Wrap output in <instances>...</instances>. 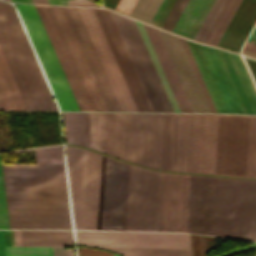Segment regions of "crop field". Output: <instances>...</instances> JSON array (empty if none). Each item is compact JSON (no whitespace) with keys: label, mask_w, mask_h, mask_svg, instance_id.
I'll use <instances>...</instances> for the list:
<instances>
[{"label":"crop field","mask_w":256,"mask_h":256,"mask_svg":"<svg viewBox=\"0 0 256 256\" xmlns=\"http://www.w3.org/2000/svg\"><path fill=\"white\" fill-rule=\"evenodd\" d=\"M36 163H64L62 146L34 149Z\"/></svg>","instance_id":"crop-field-30"},{"label":"crop field","mask_w":256,"mask_h":256,"mask_svg":"<svg viewBox=\"0 0 256 256\" xmlns=\"http://www.w3.org/2000/svg\"><path fill=\"white\" fill-rule=\"evenodd\" d=\"M217 177L190 175L186 232L214 235Z\"/></svg>","instance_id":"crop-field-12"},{"label":"crop field","mask_w":256,"mask_h":256,"mask_svg":"<svg viewBox=\"0 0 256 256\" xmlns=\"http://www.w3.org/2000/svg\"><path fill=\"white\" fill-rule=\"evenodd\" d=\"M7 1H10V0H7ZM11 2V1H10Z\"/></svg>","instance_id":"crop-field-54"},{"label":"crop field","mask_w":256,"mask_h":256,"mask_svg":"<svg viewBox=\"0 0 256 256\" xmlns=\"http://www.w3.org/2000/svg\"><path fill=\"white\" fill-rule=\"evenodd\" d=\"M245 58V57H244ZM249 68H250V71L256 81V60H253V59H249V58H245Z\"/></svg>","instance_id":"crop-field-43"},{"label":"crop field","mask_w":256,"mask_h":256,"mask_svg":"<svg viewBox=\"0 0 256 256\" xmlns=\"http://www.w3.org/2000/svg\"><path fill=\"white\" fill-rule=\"evenodd\" d=\"M215 235L256 241V180L218 177Z\"/></svg>","instance_id":"crop-field-7"},{"label":"crop field","mask_w":256,"mask_h":256,"mask_svg":"<svg viewBox=\"0 0 256 256\" xmlns=\"http://www.w3.org/2000/svg\"><path fill=\"white\" fill-rule=\"evenodd\" d=\"M136 1L137 0H119L115 7V10L129 15Z\"/></svg>","instance_id":"crop-field-41"},{"label":"crop field","mask_w":256,"mask_h":256,"mask_svg":"<svg viewBox=\"0 0 256 256\" xmlns=\"http://www.w3.org/2000/svg\"><path fill=\"white\" fill-rule=\"evenodd\" d=\"M80 109H94L50 7L35 6Z\"/></svg>","instance_id":"crop-field-16"},{"label":"crop field","mask_w":256,"mask_h":256,"mask_svg":"<svg viewBox=\"0 0 256 256\" xmlns=\"http://www.w3.org/2000/svg\"><path fill=\"white\" fill-rule=\"evenodd\" d=\"M138 111H153L108 10L93 8Z\"/></svg>","instance_id":"crop-field-15"},{"label":"crop field","mask_w":256,"mask_h":256,"mask_svg":"<svg viewBox=\"0 0 256 256\" xmlns=\"http://www.w3.org/2000/svg\"><path fill=\"white\" fill-rule=\"evenodd\" d=\"M233 0H226L220 9L218 15L216 16L214 22L212 23L210 29L208 30L206 36L203 39V42L209 43L211 37L213 36L214 32L216 31L218 25L220 24L222 18L224 17L225 13L227 12L229 6L231 5Z\"/></svg>","instance_id":"crop-field-38"},{"label":"crop field","mask_w":256,"mask_h":256,"mask_svg":"<svg viewBox=\"0 0 256 256\" xmlns=\"http://www.w3.org/2000/svg\"><path fill=\"white\" fill-rule=\"evenodd\" d=\"M22 246H74L71 231H21Z\"/></svg>","instance_id":"crop-field-23"},{"label":"crop field","mask_w":256,"mask_h":256,"mask_svg":"<svg viewBox=\"0 0 256 256\" xmlns=\"http://www.w3.org/2000/svg\"><path fill=\"white\" fill-rule=\"evenodd\" d=\"M0 229H9L1 162H0Z\"/></svg>","instance_id":"crop-field-36"},{"label":"crop field","mask_w":256,"mask_h":256,"mask_svg":"<svg viewBox=\"0 0 256 256\" xmlns=\"http://www.w3.org/2000/svg\"><path fill=\"white\" fill-rule=\"evenodd\" d=\"M161 1L162 0H138L130 16L149 23Z\"/></svg>","instance_id":"crop-field-29"},{"label":"crop field","mask_w":256,"mask_h":256,"mask_svg":"<svg viewBox=\"0 0 256 256\" xmlns=\"http://www.w3.org/2000/svg\"><path fill=\"white\" fill-rule=\"evenodd\" d=\"M256 21V0H243L218 46L239 51Z\"/></svg>","instance_id":"crop-field-19"},{"label":"crop field","mask_w":256,"mask_h":256,"mask_svg":"<svg viewBox=\"0 0 256 256\" xmlns=\"http://www.w3.org/2000/svg\"><path fill=\"white\" fill-rule=\"evenodd\" d=\"M54 256H65L64 247H53Z\"/></svg>","instance_id":"crop-field-44"},{"label":"crop field","mask_w":256,"mask_h":256,"mask_svg":"<svg viewBox=\"0 0 256 256\" xmlns=\"http://www.w3.org/2000/svg\"><path fill=\"white\" fill-rule=\"evenodd\" d=\"M7 202H68L64 164H3ZM10 229H71L68 203H7Z\"/></svg>","instance_id":"crop-field-3"},{"label":"crop field","mask_w":256,"mask_h":256,"mask_svg":"<svg viewBox=\"0 0 256 256\" xmlns=\"http://www.w3.org/2000/svg\"><path fill=\"white\" fill-rule=\"evenodd\" d=\"M66 256H74V248H65Z\"/></svg>","instance_id":"crop-field-50"},{"label":"crop field","mask_w":256,"mask_h":256,"mask_svg":"<svg viewBox=\"0 0 256 256\" xmlns=\"http://www.w3.org/2000/svg\"><path fill=\"white\" fill-rule=\"evenodd\" d=\"M223 2L224 0H215L207 16L205 17L203 23L201 24L198 32L196 33L194 39L202 41L204 35L206 34L208 28L210 27Z\"/></svg>","instance_id":"crop-field-33"},{"label":"crop field","mask_w":256,"mask_h":256,"mask_svg":"<svg viewBox=\"0 0 256 256\" xmlns=\"http://www.w3.org/2000/svg\"><path fill=\"white\" fill-rule=\"evenodd\" d=\"M0 256H5L3 231H0Z\"/></svg>","instance_id":"crop-field-45"},{"label":"crop field","mask_w":256,"mask_h":256,"mask_svg":"<svg viewBox=\"0 0 256 256\" xmlns=\"http://www.w3.org/2000/svg\"><path fill=\"white\" fill-rule=\"evenodd\" d=\"M68 5L101 7L89 0H66Z\"/></svg>","instance_id":"crop-field-42"},{"label":"crop field","mask_w":256,"mask_h":256,"mask_svg":"<svg viewBox=\"0 0 256 256\" xmlns=\"http://www.w3.org/2000/svg\"><path fill=\"white\" fill-rule=\"evenodd\" d=\"M144 24V23H143ZM146 31L148 33V36L151 40V43L154 47V50L157 54V57L159 59V62L162 66V69L165 73V76L167 78V81L170 85V88L173 92V95L176 99V102L178 104V107L181 112H192L189 104L186 100V97L184 95V92L181 88V85L178 81V78L175 74V71L173 69V66L170 62V59L167 55V52L164 48V45L162 43V40L159 36V33L155 27L149 26L147 24H144Z\"/></svg>","instance_id":"crop-field-20"},{"label":"crop field","mask_w":256,"mask_h":256,"mask_svg":"<svg viewBox=\"0 0 256 256\" xmlns=\"http://www.w3.org/2000/svg\"><path fill=\"white\" fill-rule=\"evenodd\" d=\"M214 248L213 237L191 234L192 256H206V252Z\"/></svg>","instance_id":"crop-field-32"},{"label":"crop field","mask_w":256,"mask_h":256,"mask_svg":"<svg viewBox=\"0 0 256 256\" xmlns=\"http://www.w3.org/2000/svg\"><path fill=\"white\" fill-rule=\"evenodd\" d=\"M77 245L115 251L124 256H190L189 234L75 231Z\"/></svg>","instance_id":"crop-field-8"},{"label":"crop field","mask_w":256,"mask_h":256,"mask_svg":"<svg viewBox=\"0 0 256 256\" xmlns=\"http://www.w3.org/2000/svg\"><path fill=\"white\" fill-rule=\"evenodd\" d=\"M228 53V52H227ZM231 62L235 68V71L239 77V80L243 86V89L247 95V98L251 104V107L254 111V113L256 114V94L252 85V82L239 58L238 55L236 54H232V53H228Z\"/></svg>","instance_id":"crop-field-27"},{"label":"crop field","mask_w":256,"mask_h":256,"mask_svg":"<svg viewBox=\"0 0 256 256\" xmlns=\"http://www.w3.org/2000/svg\"><path fill=\"white\" fill-rule=\"evenodd\" d=\"M0 45L29 110H58L12 5L0 1Z\"/></svg>","instance_id":"crop-field-5"},{"label":"crop field","mask_w":256,"mask_h":256,"mask_svg":"<svg viewBox=\"0 0 256 256\" xmlns=\"http://www.w3.org/2000/svg\"><path fill=\"white\" fill-rule=\"evenodd\" d=\"M170 114H164L161 170H167Z\"/></svg>","instance_id":"crop-field-34"},{"label":"crop field","mask_w":256,"mask_h":256,"mask_svg":"<svg viewBox=\"0 0 256 256\" xmlns=\"http://www.w3.org/2000/svg\"><path fill=\"white\" fill-rule=\"evenodd\" d=\"M189 175L162 172L158 231L185 232Z\"/></svg>","instance_id":"crop-field-13"},{"label":"crop field","mask_w":256,"mask_h":256,"mask_svg":"<svg viewBox=\"0 0 256 256\" xmlns=\"http://www.w3.org/2000/svg\"><path fill=\"white\" fill-rule=\"evenodd\" d=\"M118 2V0H103L104 5L114 9L116 3Z\"/></svg>","instance_id":"crop-field-46"},{"label":"crop field","mask_w":256,"mask_h":256,"mask_svg":"<svg viewBox=\"0 0 256 256\" xmlns=\"http://www.w3.org/2000/svg\"><path fill=\"white\" fill-rule=\"evenodd\" d=\"M214 0H189L173 32L193 39Z\"/></svg>","instance_id":"crop-field-22"},{"label":"crop field","mask_w":256,"mask_h":256,"mask_svg":"<svg viewBox=\"0 0 256 256\" xmlns=\"http://www.w3.org/2000/svg\"><path fill=\"white\" fill-rule=\"evenodd\" d=\"M111 14L153 110L173 112L135 21L114 12Z\"/></svg>","instance_id":"crop-field-10"},{"label":"crop field","mask_w":256,"mask_h":256,"mask_svg":"<svg viewBox=\"0 0 256 256\" xmlns=\"http://www.w3.org/2000/svg\"><path fill=\"white\" fill-rule=\"evenodd\" d=\"M158 31L192 111L211 112L179 38L163 30Z\"/></svg>","instance_id":"crop-field-17"},{"label":"crop field","mask_w":256,"mask_h":256,"mask_svg":"<svg viewBox=\"0 0 256 256\" xmlns=\"http://www.w3.org/2000/svg\"><path fill=\"white\" fill-rule=\"evenodd\" d=\"M244 49L256 52V44L247 42V44L244 46Z\"/></svg>","instance_id":"crop-field-48"},{"label":"crop field","mask_w":256,"mask_h":256,"mask_svg":"<svg viewBox=\"0 0 256 256\" xmlns=\"http://www.w3.org/2000/svg\"><path fill=\"white\" fill-rule=\"evenodd\" d=\"M251 38H255V39H256V27H255V29H254L252 35H251Z\"/></svg>","instance_id":"crop-field-52"},{"label":"crop field","mask_w":256,"mask_h":256,"mask_svg":"<svg viewBox=\"0 0 256 256\" xmlns=\"http://www.w3.org/2000/svg\"><path fill=\"white\" fill-rule=\"evenodd\" d=\"M96 110L107 111L61 6H51Z\"/></svg>","instance_id":"crop-field-18"},{"label":"crop field","mask_w":256,"mask_h":256,"mask_svg":"<svg viewBox=\"0 0 256 256\" xmlns=\"http://www.w3.org/2000/svg\"><path fill=\"white\" fill-rule=\"evenodd\" d=\"M108 111H114L68 7L62 6Z\"/></svg>","instance_id":"crop-field-25"},{"label":"crop field","mask_w":256,"mask_h":256,"mask_svg":"<svg viewBox=\"0 0 256 256\" xmlns=\"http://www.w3.org/2000/svg\"><path fill=\"white\" fill-rule=\"evenodd\" d=\"M69 8H70V10H71V12L73 14V17H74V19L76 21V24H77V26H78V28L80 30V33H81V35L83 37V40H84V42H85V44L87 46V49H88V51L90 53V56H91V58H92V60L94 62V65H95V67L97 69V72H98V74H99V76L101 78V81H102V83L104 85V88H105V90H106V92L108 94V97H109V99L111 101V104H112L114 110L115 111H121L119 106H118V103H117V101L115 99V96H114V94L112 92V89H111V87L109 85V82H108V80L106 78V75H105V73L103 71V68H102V66L100 64V61H99V59L97 57V54H96V52L94 50V47H93V45L91 43V40H90V38L88 36V33H87L86 29H85V26H84V24L82 22V19H81L80 15H79V12H78L77 8L76 7H69Z\"/></svg>","instance_id":"crop-field-24"},{"label":"crop field","mask_w":256,"mask_h":256,"mask_svg":"<svg viewBox=\"0 0 256 256\" xmlns=\"http://www.w3.org/2000/svg\"><path fill=\"white\" fill-rule=\"evenodd\" d=\"M16 246H21L20 231H14Z\"/></svg>","instance_id":"crop-field-47"},{"label":"crop field","mask_w":256,"mask_h":256,"mask_svg":"<svg viewBox=\"0 0 256 256\" xmlns=\"http://www.w3.org/2000/svg\"><path fill=\"white\" fill-rule=\"evenodd\" d=\"M61 110H79L33 5L15 4Z\"/></svg>","instance_id":"crop-field-9"},{"label":"crop field","mask_w":256,"mask_h":256,"mask_svg":"<svg viewBox=\"0 0 256 256\" xmlns=\"http://www.w3.org/2000/svg\"><path fill=\"white\" fill-rule=\"evenodd\" d=\"M129 165L106 156L101 229L125 230ZM161 172L130 165L126 230L157 231Z\"/></svg>","instance_id":"crop-field-4"},{"label":"crop field","mask_w":256,"mask_h":256,"mask_svg":"<svg viewBox=\"0 0 256 256\" xmlns=\"http://www.w3.org/2000/svg\"><path fill=\"white\" fill-rule=\"evenodd\" d=\"M135 21H136V20H135ZM136 23H137L138 28H139V30H140V33H141V35H142V37H143V40H144V42H145V45H146V47H147V49H148V52H149V54H150V56H151V59H152L153 64H154V66H155V68H156V71H157L158 76H159V78H160V80H161V83H162V85H163V87H164V90H165V92H166V95H167V97H168V99H169V102H170V104H171V107H172V109H173L174 112H180L179 109H178V107H177V104H176V102H175V99H174V97H173V95H172V92H171V90H170V88H169V85H168V83H167V81H166V78H165V76H164V73H163V71H162V69H161V66H160V64H159V62H158V59H157V57H156V54H155V52H154V50H153V47H152V45H151V43H150V40H149V38H148V36H147V33H146V31H145V28H144V26H143V24H142L141 22L136 21Z\"/></svg>","instance_id":"crop-field-26"},{"label":"crop field","mask_w":256,"mask_h":256,"mask_svg":"<svg viewBox=\"0 0 256 256\" xmlns=\"http://www.w3.org/2000/svg\"><path fill=\"white\" fill-rule=\"evenodd\" d=\"M0 110H28L0 47Z\"/></svg>","instance_id":"crop-field-21"},{"label":"crop field","mask_w":256,"mask_h":256,"mask_svg":"<svg viewBox=\"0 0 256 256\" xmlns=\"http://www.w3.org/2000/svg\"><path fill=\"white\" fill-rule=\"evenodd\" d=\"M114 256H118V255H115V254H114Z\"/></svg>","instance_id":"crop-field-53"},{"label":"crop field","mask_w":256,"mask_h":256,"mask_svg":"<svg viewBox=\"0 0 256 256\" xmlns=\"http://www.w3.org/2000/svg\"><path fill=\"white\" fill-rule=\"evenodd\" d=\"M65 149L75 229H100L105 156Z\"/></svg>","instance_id":"crop-field-6"},{"label":"crop field","mask_w":256,"mask_h":256,"mask_svg":"<svg viewBox=\"0 0 256 256\" xmlns=\"http://www.w3.org/2000/svg\"><path fill=\"white\" fill-rule=\"evenodd\" d=\"M217 115L171 114L168 170L214 174ZM215 174L256 177V117L218 115Z\"/></svg>","instance_id":"crop-field-1"},{"label":"crop field","mask_w":256,"mask_h":256,"mask_svg":"<svg viewBox=\"0 0 256 256\" xmlns=\"http://www.w3.org/2000/svg\"><path fill=\"white\" fill-rule=\"evenodd\" d=\"M241 0H234L231 7L229 8L226 16L224 17L222 23L220 24L217 32L215 33L212 41L210 42V44H214L216 45L221 37V35L223 34L226 26L228 25L230 19L232 18L235 10L237 9L239 3H240Z\"/></svg>","instance_id":"crop-field-37"},{"label":"crop field","mask_w":256,"mask_h":256,"mask_svg":"<svg viewBox=\"0 0 256 256\" xmlns=\"http://www.w3.org/2000/svg\"><path fill=\"white\" fill-rule=\"evenodd\" d=\"M34 3L49 4L47 0H33Z\"/></svg>","instance_id":"crop-field-51"},{"label":"crop field","mask_w":256,"mask_h":256,"mask_svg":"<svg viewBox=\"0 0 256 256\" xmlns=\"http://www.w3.org/2000/svg\"><path fill=\"white\" fill-rule=\"evenodd\" d=\"M219 52H220L221 57H222V59L224 61L226 69H227V71L229 73V76H230V78L232 80V83H233V85L235 87V90H236V92L238 94V97L240 99V102H241V104L243 106V109H244L245 113L246 114H254L252 109H251V107H250V104H249V102H248V100L246 98V95H245V93H244V91L242 89V86H241V84H240V82L238 80V77H237V75H236V73L234 71V68H233V66H232V64L230 62V59H229L227 53L225 51H222V50H219Z\"/></svg>","instance_id":"crop-field-28"},{"label":"crop field","mask_w":256,"mask_h":256,"mask_svg":"<svg viewBox=\"0 0 256 256\" xmlns=\"http://www.w3.org/2000/svg\"><path fill=\"white\" fill-rule=\"evenodd\" d=\"M78 256H113L110 252H103L98 249H90L86 247L77 248Z\"/></svg>","instance_id":"crop-field-40"},{"label":"crop field","mask_w":256,"mask_h":256,"mask_svg":"<svg viewBox=\"0 0 256 256\" xmlns=\"http://www.w3.org/2000/svg\"><path fill=\"white\" fill-rule=\"evenodd\" d=\"M66 143L160 170L163 114L62 112Z\"/></svg>","instance_id":"crop-field-2"},{"label":"crop field","mask_w":256,"mask_h":256,"mask_svg":"<svg viewBox=\"0 0 256 256\" xmlns=\"http://www.w3.org/2000/svg\"><path fill=\"white\" fill-rule=\"evenodd\" d=\"M188 0H176L173 5L170 13L168 14L166 20L164 21L162 28L172 30L175 22L177 21L179 15L181 14L184 6L186 5Z\"/></svg>","instance_id":"crop-field-35"},{"label":"crop field","mask_w":256,"mask_h":256,"mask_svg":"<svg viewBox=\"0 0 256 256\" xmlns=\"http://www.w3.org/2000/svg\"><path fill=\"white\" fill-rule=\"evenodd\" d=\"M6 256H53L52 247H5Z\"/></svg>","instance_id":"crop-field-31"},{"label":"crop field","mask_w":256,"mask_h":256,"mask_svg":"<svg viewBox=\"0 0 256 256\" xmlns=\"http://www.w3.org/2000/svg\"><path fill=\"white\" fill-rule=\"evenodd\" d=\"M242 55H245V56L252 57V58L256 59V53H252V52L243 50Z\"/></svg>","instance_id":"crop-field-49"},{"label":"crop field","mask_w":256,"mask_h":256,"mask_svg":"<svg viewBox=\"0 0 256 256\" xmlns=\"http://www.w3.org/2000/svg\"><path fill=\"white\" fill-rule=\"evenodd\" d=\"M175 0H163L160 7L158 8L156 14L154 15L152 21H155L157 23L162 24L164 18L166 17L167 13L169 12L171 6L173 5ZM151 24H154L156 26H161L160 24H157L155 22H152Z\"/></svg>","instance_id":"crop-field-39"},{"label":"crop field","mask_w":256,"mask_h":256,"mask_svg":"<svg viewBox=\"0 0 256 256\" xmlns=\"http://www.w3.org/2000/svg\"><path fill=\"white\" fill-rule=\"evenodd\" d=\"M187 43L217 111L245 114L218 50L191 41Z\"/></svg>","instance_id":"crop-field-11"},{"label":"crop field","mask_w":256,"mask_h":256,"mask_svg":"<svg viewBox=\"0 0 256 256\" xmlns=\"http://www.w3.org/2000/svg\"><path fill=\"white\" fill-rule=\"evenodd\" d=\"M119 106L122 111H137L114 60L102 29L92 8L77 7Z\"/></svg>","instance_id":"crop-field-14"}]
</instances>
